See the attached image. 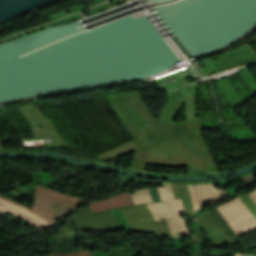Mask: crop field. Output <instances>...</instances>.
Masks as SVG:
<instances>
[{
	"instance_id": "12",
	"label": "crop field",
	"mask_w": 256,
	"mask_h": 256,
	"mask_svg": "<svg viewBox=\"0 0 256 256\" xmlns=\"http://www.w3.org/2000/svg\"><path fill=\"white\" fill-rule=\"evenodd\" d=\"M217 208L219 209V211L222 213V215L225 217V219L228 221V223L231 225V227L234 229L238 236L244 234V232L241 230V228L238 226V224L235 222V220L232 218V216L228 213V211L224 208L223 205Z\"/></svg>"
},
{
	"instance_id": "11",
	"label": "crop field",
	"mask_w": 256,
	"mask_h": 256,
	"mask_svg": "<svg viewBox=\"0 0 256 256\" xmlns=\"http://www.w3.org/2000/svg\"><path fill=\"white\" fill-rule=\"evenodd\" d=\"M131 195L135 205L144 202H153L148 188L138 190Z\"/></svg>"
},
{
	"instance_id": "14",
	"label": "crop field",
	"mask_w": 256,
	"mask_h": 256,
	"mask_svg": "<svg viewBox=\"0 0 256 256\" xmlns=\"http://www.w3.org/2000/svg\"><path fill=\"white\" fill-rule=\"evenodd\" d=\"M241 200L245 203V205L249 208V210L254 214L256 217V208L252 204V202L249 200V198L246 196V194L240 196Z\"/></svg>"
},
{
	"instance_id": "15",
	"label": "crop field",
	"mask_w": 256,
	"mask_h": 256,
	"mask_svg": "<svg viewBox=\"0 0 256 256\" xmlns=\"http://www.w3.org/2000/svg\"><path fill=\"white\" fill-rule=\"evenodd\" d=\"M240 181L244 184L245 187H247V186L255 184L256 178L254 177L253 174H251V175L241 179Z\"/></svg>"
},
{
	"instance_id": "22",
	"label": "crop field",
	"mask_w": 256,
	"mask_h": 256,
	"mask_svg": "<svg viewBox=\"0 0 256 256\" xmlns=\"http://www.w3.org/2000/svg\"><path fill=\"white\" fill-rule=\"evenodd\" d=\"M54 256H78V254L77 252H73V253L57 254Z\"/></svg>"
},
{
	"instance_id": "16",
	"label": "crop field",
	"mask_w": 256,
	"mask_h": 256,
	"mask_svg": "<svg viewBox=\"0 0 256 256\" xmlns=\"http://www.w3.org/2000/svg\"><path fill=\"white\" fill-rule=\"evenodd\" d=\"M162 185L164 186L167 200H173L174 198L169 183H162Z\"/></svg>"
},
{
	"instance_id": "13",
	"label": "crop field",
	"mask_w": 256,
	"mask_h": 256,
	"mask_svg": "<svg viewBox=\"0 0 256 256\" xmlns=\"http://www.w3.org/2000/svg\"><path fill=\"white\" fill-rule=\"evenodd\" d=\"M173 211L175 212L177 218H179L180 214L183 213V207L181 204V200H173V201H169Z\"/></svg>"
},
{
	"instance_id": "21",
	"label": "crop field",
	"mask_w": 256,
	"mask_h": 256,
	"mask_svg": "<svg viewBox=\"0 0 256 256\" xmlns=\"http://www.w3.org/2000/svg\"><path fill=\"white\" fill-rule=\"evenodd\" d=\"M157 189H158V193H159V196H160V200L161 201L166 200L165 197H164L163 190L161 188H157Z\"/></svg>"
},
{
	"instance_id": "7",
	"label": "crop field",
	"mask_w": 256,
	"mask_h": 256,
	"mask_svg": "<svg viewBox=\"0 0 256 256\" xmlns=\"http://www.w3.org/2000/svg\"><path fill=\"white\" fill-rule=\"evenodd\" d=\"M226 204L248 232L256 229V218L251 214L239 197L226 202Z\"/></svg>"
},
{
	"instance_id": "10",
	"label": "crop field",
	"mask_w": 256,
	"mask_h": 256,
	"mask_svg": "<svg viewBox=\"0 0 256 256\" xmlns=\"http://www.w3.org/2000/svg\"><path fill=\"white\" fill-rule=\"evenodd\" d=\"M209 212L213 216V218L216 220V222L219 224V226L223 229V231L227 234V236L233 242L238 236L233 231V229L230 227V225L227 223V221L224 219V217L221 215V213L218 211V209L214 208V209L209 210Z\"/></svg>"
},
{
	"instance_id": "8",
	"label": "crop field",
	"mask_w": 256,
	"mask_h": 256,
	"mask_svg": "<svg viewBox=\"0 0 256 256\" xmlns=\"http://www.w3.org/2000/svg\"><path fill=\"white\" fill-rule=\"evenodd\" d=\"M154 220L157 222V221H160V220H163V219H170L172 218L175 226H176V229L179 233V235L181 236L182 235V232L179 228V225H178V222L176 220V217L175 215L173 214L169 204L167 202H162V203H151V204H147Z\"/></svg>"
},
{
	"instance_id": "18",
	"label": "crop field",
	"mask_w": 256,
	"mask_h": 256,
	"mask_svg": "<svg viewBox=\"0 0 256 256\" xmlns=\"http://www.w3.org/2000/svg\"><path fill=\"white\" fill-rule=\"evenodd\" d=\"M248 195V197L251 199V201L255 204L256 206V189L253 191H250L248 193H246Z\"/></svg>"
},
{
	"instance_id": "20",
	"label": "crop field",
	"mask_w": 256,
	"mask_h": 256,
	"mask_svg": "<svg viewBox=\"0 0 256 256\" xmlns=\"http://www.w3.org/2000/svg\"><path fill=\"white\" fill-rule=\"evenodd\" d=\"M224 206L227 208V210L230 212V214L233 216V218L236 220V222L240 225V227L244 230L245 233H248L246 229L242 226V224L238 221V219L234 216V214L230 211V209L226 206L225 203H223Z\"/></svg>"
},
{
	"instance_id": "6",
	"label": "crop field",
	"mask_w": 256,
	"mask_h": 256,
	"mask_svg": "<svg viewBox=\"0 0 256 256\" xmlns=\"http://www.w3.org/2000/svg\"><path fill=\"white\" fill-rule=\"evenodd\" d=\"M93 214L117 207L134 205L129 191L114 197L99 200L88 204Z\"/></svg>"
},
{
	"instance_id": "3",
	"label": "crop field",
	"mask_w": 256,
	"mask_h": 256,
	"mask_svg": "<svg viewBox=\"0 0 256 256\" xmlns=\"http://www.w3.org/2000/svg\"><path fill=\"white\" fill-rule=\"evenodd\" d=\"M76 231L78 230H114L120 229L111 211L92 215L89 207L79 211L70 218Z\"/></svg>"
},
{
	"instance_id": "2",
	"label": "crop field",
	"mask_w": 256,
	"mask_h": 256,
	"mask_svg": "<svg viewBox=\"0 0 256 256\" xmlns=\"http://www.w3.org/2000/svg\"><path fill=\"white\" fill-rule=\"evenodd\" d=\"M131 228L128 230L156 232L165 237H172L166 221L155 223L146 204L121 208Z\"/></svg>"
},
{
	"instance_id": "17",
	"label": "crop field",
	"mask_w": 256,
	"mask_h": 256,
	"mask_svg": "<svg viewBox=\"0 0 256 256\" xmlns=\"http://www.w3.org/2000/svg\"><path fill=\"white\" fill-rule=\"evenodd\" d=\"M166 221H167V223H168V226H169V228H170V231H171L172 236H173V237H178L179 235H178V233H177V231H176V229H175V226H174L172 220H166Z\"/></svg>"
},
{
	"instance_id": "5",
	"label": "crop field",
	"mask_w": 256,
	"mask_h": 256,
	"mask_svg": "<svg viewBox=\"0 0 256 256\" xmlns=\"http://www.w3.org/2000/svg\"><path fill=\"white\" fill-rule=\"evenodd\" d=\"M194 219L215 246L231 243L207 211L198 214Z\"/></svg>"
},
{
	"instance_id": "1",
	"label": "crop field",
	"mask_w": 256,
	"mask_h": 256,
	"mask_svg": "<svg viewBox=\"0 0 256 256\" xmlns=\"http://www.w3.org/2000/svg\"><path fill=\"white\" fill-rule=\"evenodd\" d=\"M85 201L36 185L32 210L0 196V209L42 229L69 213ZM63 218V217H62Z\"/></svg>"
},
{
	"instance_id": "19",
	"label": "crop field",
	"mask_w": 256,
	"mask_h": 256,
	"mask_svg": "<svg viewBox=\"0 0 256 256\" xmlns=\"http://www.w3.org/2000/svg\"><path fill=\"white\" fill-rule=\"evenodd\" d=\"M179 221H180V224H181L184 235H188L189 233H188L187 227H186L182 217L179 219Z\"/></svg>"
},
{
	"instance_id": "24",
	"label": "crop field",
	"mask_w": 256,
	"mask_h": 256,
	"mask_svg": "<svg viewBox=\"0 0 256 256\" xmlns=\"http://www.w3.org/2000/svg\"><path fill=\"white\" fill-rule=\"evenodd\" d=\"M46 256H53V254H50V255H46Z\"/></svg>"
},
{
	"instance_id": "23",
	"label": "crop field",
	"mask_w": 256,
	"mask_h": 256,
	"mask_svg": "<svg viewBox=\"0 0 256 256\" xmlns=\"http://www.w3.org/2000/svg\"><path fill=\"white\" fill-rule=\"evenodd\" d=\"M79 256H91L92 251L78 252Z\"/></svg>"
},
{
	"instance_id": "4",
	"label": "crop field",
	"mask_w": 256,
	"mask_h": 256,
	"mask_svg": "<svg viewBox=\"0 0 256 256\" xmlns=\"http://www.w3.org/2000/svg\"><path fill=\"white\" fill-rule=\"evenodd\" d=\"M187 186L194 210H198L199 208L208 205L227 194L226 191L214 189V184ZM219 191L222 193L219 194Z\"/></svg>"
},
{
	"instance_id": "9",
	"label": "crop field",
	"mask_w": 256,
	"mask_h": 256,
	"mask_svg": "<svg viewBox=\"0 0 256 256\" xmlns=\"http://www.w3.org/2000/svg\"><path fill=\"white\" fill-rule=\"evenodd\" d=\"M174 198H181L185 214L192 213V206L185 183H170Z\"/></svg>"
}]
</instances>
